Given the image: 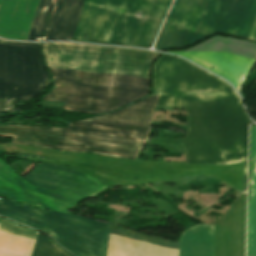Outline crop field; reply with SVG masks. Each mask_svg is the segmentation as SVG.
<instances>
[{"instance_id": "2", "label": "crop field", "mask_w": 256, "mask_h": 256, "mask_svg": "<svg viewBox=\"0 0 256 256\" xmlns=\"http://www.w3.org/2000/svg\"><path fill=\"white\" fill-rule=\"evenodd\" d=\"M30 256H69L47 238L37 235L36 242L33 246Z\"/></svg>"}, {"instance_id": "1", "label": "crop field", "mask_w": 256, "mask_h": 256, "mask_svg": "<svg viewBox=\"0 0 256 256\" xmlns=\"http://www.w3.org/2000/svg\"><path fill=\"white\" fill-rule=\"evenodd\" d=\"M0 222L37 234L7 221ZM3 223H0V256H29L36 236Z\"/></svg>"}]
</instances>
